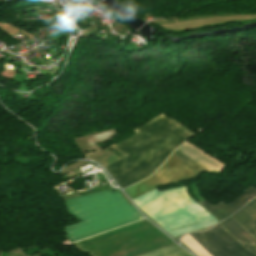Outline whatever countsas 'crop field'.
Returning <instances> with one entry per match:
<instances>
[{"label": "crop field", "mask_w": 256, "mask_h": 256, "mask_svg": "<svg viewBox=\"0 0 256 256\" xmlns=\"http://www.w3.org/2000/svg\"><path fill=\"white\" fill-rule=\"evenodd\" d=\"M254 195H256V189L249 186L248 189L241 196H239L227 205L223 201L215 206L207 203L206 201L200 204L215 217H217L220 221H222L229 217L231 214H233L235 211L240 209L246 202L249 201L248 199Z\"/></svg>", "instance_id": "f4fd0767"}, {"label": "crop field", "mask_w": 256, "mask_h": 256, "mask_svg": "<svg viewBox=\"0 0 256 256\" xmlns=\"http://www.w3.org/2000/svg\"><path fill=\"white\" fill-rule=\"evenodd\" d=\"M231 217L256 239V198Z\"/></svg>", "instance_id": "dd49c442"}, {"label": "crop field", "mask_w": 256, "mask_h": 256, "mask_svg": "<svg viewBox=\"0 0 256 256\" xmlns=\"http://www.w3.org/2000/svg\"><path fill=\"white\" fill-rule=\"evenodd\" d=\"M181 242L184 243L198 256H210L198 243H196L189 235L182 237Z\"/></svg>", "instance_id": "3316defc"}, {"label": "crop field", "mask_w": 256, "mask_h": 256, "mask_svg": "<svg viewBox=\"0 0 256 256\" xmlns=\"http://www.w3.org/2000/svg\"><path fill=\"white\" fill-rule=\"evenodd\" d=\"M189 253L185 252L178 245L174 244L141 256H187ZM192 256V255H190Z\"/></svg>", "instance_id": "d8731c3e"}, {"label": "crop field", "mask_w": 256, "mask_h": 256, "mask_svg": "<svg viewBox=\"0 0 256 256\" xmlns=\"http://www.w3.org/2000/svg\"><path fill=\"white\" fill-rule=\"evenodd\" d=\"M172 155L176 156L177 158L184 161L185 163H187L188 165L192 166L193 168H195L196 170H198L200 172L211 171V170L207 169L206 167H204L203 165L196 162L195 160H193L192 158H190L189 156L185 155L178 149L175 150Z\"/></svg>", "instance_id": "5a996713"}, {"label": "crop field", "mask_w": 256, "mask_h": 256, "mask_svg": "<svg viewBox=\"0 0 256 256\" xmlns=\"http://www.w3.org/2000/svg\"><path fill=\"white\" fill-rule=\"evenodd\" d=\"M132 131L137 134L112 146L126 157L105 167L121 188L157 170L173 150L195 135L163 114Z\"/></svg>", "instance_id": "8a807250"}, {"label": "crop field", "mask_w": 256, "mask_h": 256, "mask_svg": "<svg viewBox=\"0 0 256 256\" xmlns=\"http://www.w3.org/2000/svg\"><path fill=\"white\" fill-rule=\"evenodd\" d=\"M65 201L68 211L83 221L65 227L72 242L143 219L120 191L108 190Z\"/></svg>", "instance_id": "ac0d7876"}, {"label": "crop field", "mask_w": 256, "mask_h": 256, "mask_svg": "<svg viewBox=\"0 0 256 256\" xmlns=\"http://www.w3.org/2000/svg\"><path fill=\"white\" fill-rule=\"evenodd\" d=\"M226 230H228L240 243H242L249 251L256 254L247 244H254L256 240L251 237L239 224H237L231 217L220 223Z\"/></svg>", "instance_id": "e52e79f7"}, {"label": "crop field", "mask_w": 256, "mask_h": 256, "mask_svg": "<svg viewBox=\"0 0 256 256\" xmlns=\"http://www.w3.org/2000/svg\"><path fill=\"white\" fill-rule=\"evenodd\" d=\"M211 256H255L246 251L219 224L213 229L190 234Z\"/></svg>", "instance_id": "412701ff"}, {"label": "crop field", "mask_w": 256, "mask_h": 256, "mask_svg": "<svg viewBox=\"0 0 256 256\" xmlns=\"http://www.w3.org/2000/svg\"><path fill=\"white\" fill-rule=\"evenodd\" d=\"M199 173L200 172L171 155L151 178L124 191L132 199L159 186L192 179L198 176Z\"/></svg>", "instance_id": "34b2d1b8"}]
</instances>
